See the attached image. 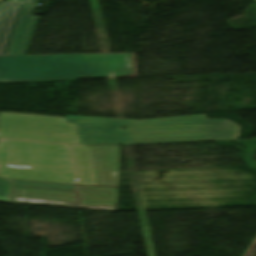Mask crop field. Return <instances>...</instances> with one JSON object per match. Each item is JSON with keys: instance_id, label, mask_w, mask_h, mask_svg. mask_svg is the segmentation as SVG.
<instances>
[{"instance_id": "1", "label": "crop field", "mask_w": 256, "mask_h": 256, "mask_svg": "<svg viewBox=\"0 0 256 256\" xmlns=\"http://www.w3.org/2000/svg\"><path fill=\"white\" fill-rule=\"evenodd\" d=\"M66 122L77 124L84 145L234 140L239 134L231 122L204 114L147 120L66 115Z\"/></svg>"}, {"instance_id": "2", "label": "crop field", "mask_w": 256, "mask_h": 256, "mask_svg": "<svg viewBox=\"0 0 256 256\" xmlns=\"http://www.w3.org/2000/svg\"><path fill=\"white\" fill-rule=\"evenodd\" d=\"M0 140V177L95 185L89 146Z\"/></svg>"}, {"instance_id": "3", "label": "crop field", "mask_w": 256, "mask_h": 256, "mask_svg": "<svg viewBox=\"0 0 256 256\" xmlns=\"http://www.w3.org/2000/svg\"><path fill=\"white\" fill-rule=\"evenodd\" d=\"M134 72L133 54L0 56V81L129 77Z\"/></svg>"}, {"instance_id": "4", "label": "crop field", "mask_w": 256, "mask_h": 256, "mask_svg": "<svg viewBox=\"0 0 256 256\" xmlns=\"http://www.w3.org/2000/svg\"><path fill=\"white\" fill-rule=\"evenodd\" d=\"M0 138L79 144L75 124L49 116L0 113Z\"/></svg>"}, {"instance_id": "5", "label": "crop field", "mask_w": 256, "mask_h": 256, "mask_svg": "<svg viewBox=\"0 0 256 256\" xmlns=\"http://www.w3.org/2000/svg\"><path fill=\"white\" fill-rule=\"evenodd\" d=\"M96 185L118 187L120 146L90 147Z\"/></svg>"}, {"instance_id": "6", "label": "crop field", "mask_w": 256, "mask_h": 256, "mask_svg": "<svg viewBox=\"0 0 256 256\" xmlns=\"http://www.w3.org/2000/svg\"><path fill=\"white\" fill-rule=\"evenodd\" d=\"M26 3L12 38L7 55H26L39 17L32 16L37 0H7Z\"/></svg>"}, {"instance_id": "7", "label": "crop field", "mask_w": 256, "mask_h": 256, "mask_svg": "<svg viewBox=\"0 0 256 256\" xmlns=\"http://www.w3.org/2000/svg\"><path fill=\"white\" fill-rule=\"evenodd\" d=\"M80 208L116 211L118 189L77 186Z\"/></svg>"}, {"instance_id": "8", "label": "crop field", "mask_w": 256, "mask_h": 256, "mask_svg": "<svg viewBox=\"0 0 256 256\" xmlns=\"http://www.w3.org/2000/svg\"><path fill=\"white\" fill-rule=\"evenodd\" d=\"M23 6L0 2V55L7 54Z\"/></svg>"}, {"instance_id": "9", "label": "crop field", "mask_w": 256, "mask_h": 256, "mask_svg": "<svg viewBox=\"0 0 256 256\" xmlns=\"http://www.w3.org/2000/svg\"><path fill=\"white\" fill-rule=\"evenodd\" d=\"M0 202L40 204L60 207L79 208L78 198H64L10 192V197L0 196Z\"/></svg>"}, {"instance_id": "10", "label": "crop field", "mask_w": 256, "mask_h": 256, "mask_svg": "<svg viewBox=\"0 0 256 256\" xmlns=\"http://www.w3.org/2000/svg\"><path fill=\"white\" fill-rule=\"evenodd\" d=\"M9 184L76 190V185L0 178V195L9 196Z\"/></svg>"}, {"instance_id": "11", "label": "crop field", "mask_w": 256, "mask_h": 256, "mask_svg": "<svg viewBox=\"0 0 256 256\" xmlns=\"http://www.w3.org/2000/svg\"><path fill=\"white\" fill-rule=\"evenodd\" d=\"M10 191L34 193V194H44V195H54V196H64V197H78L76 191L49 189V188H37V187L10 185Z\"/></svg>"}]
</instances>
